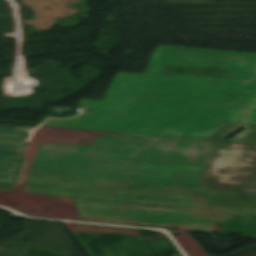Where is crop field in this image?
<instances>
[{
	"instance_id": "crop-field-2",
	"label": "crop field",
	"mask_w": 256,
	"mask_h": 256,
	"mask_svg": "<svg viewBox=\"0 0 256 256\" xmlns=\"http://www.w3.org/2000/svg\"><path fill=\"white\" fill-rule=\"evenodd\" d=\"M205 169L35 153L30 172L198 187Z\"/></svg>"
},
{
	"instance_id": "crop-field-5",
	"label": "crop field",
	"mask_w": 256,
	"mask_h": 256,
	"mask_svg": "<svg viewBox=\"0 0 256 256\" xmlns=\"http://www.w3.org/2000/svg\"><path fill=\"white\" fill-rule=\"evenodd\" d=\"M100 132L58 129L38 126L30 137V145H25L18 171L29 172L36 140L88 145Z\"/></svg>"
},
{
	"instance_id": "crop-field-8",
	"label": "crop field",
	"mask_w": 256,
	"mask_h": 256,
	"mask_svg": "<svg viewBox=\"0 0 256 256\" xmlns=\"http://www.w3.org/2000/svg\"><path fill=\"white\" fill-rule=\"evenodd\" d=\"M165 49H166V47H164V46H161V47L155 49L151 60L162 61V59L165 55Z\"/></svg>"
},
{
	"instance_id": "crop-field-3",
	"label": "crop field",
	"mask_w": 256,
	"mask_h": 256,
	"mask_svg": "<svg viewBox=\"0 0 256 256\" xmlns=\"http://www.w3.org/2000/svg\"><path fill=\"white\" fill-rule=\"evenodd\" d=\"M251 164H256V151L214 147L207 169L205 171L204 177L199 187L256 192V172L222 170L225 168H233V169L256 171V169L239 168L242 166L256 167V165H251ZM231 179L255 181V182L249 183V182L234 181ZM216 225H223V224H216ZM223 226H233V225H223ZM234 227H243V226H234ZM246 228H253V227H246ZM242 231L255 232L250 230H242Z\"/></svg>"
},
{
	"instance_id": "crop-field-6",
	"label": "crop field",
	"mask_w": 256,
	"mask_h": 256,
	"mask_svg": "<svg viewBox=\"0 0 256 256\" xmlns=\"http://www.w3.org/2000/svg\"><path fill=\"white\" fill-rule=\"evenodd\" d=\"M33 127L13 129L0 127V190L15 191L10 185L22 143Z\"/></svg>"
},
{
	"instance_id": "crop-field-7",
	"label": "crop field",
	"mask_w": 256,
	"mask_h": 256,
	"mask_svg": "<svg viewBox=\"0 0 256 256\" xmlns=\"http://www.w3.org/2000/svg\"><path fill=\"white\" fill-rule=\"evenodd\" d=\"M215 146H219V147H231V148H242V149H254V150H256V146L240 145V144H231V143H221V142H216Z\"/></svg>"
},
{
	"instance_id": "crop-field-1",
	"label": "crop field",
	"mask_w": 256,
	"mask_h": 256,
	"mask_svg": "<svg viewBox=\"0 0 256 256\" xmlns=\"http://www.w3.org/2000/svg\"><path fill=\"white\" fill-rule=\"evenodd\" d=\"M165 65L226 67L229 79L166 74ZM90 109L43 126L101 131L91 144L37 141L35 152L206 167L215 142L205 139L224 125L256 124V54L167 47L128 106Z\"/></svg>"
},
{
	"instance_id": "crop-field-4",
	"label": "crop field",
	"mask_w": 256,
	"mask_h": 256,
	"mask_svg": "<svg viewBox=\"0 0 256 256\" xmlns=\"http://www.w3.org/2000/svg\"><path fill=\"white\" fill-rule=\"evenodd\" d=\"M159 65H160V62L151 61L145 74H131V73L117 74L104 100L102 101L81 100L79 106L85 107L88 109L91 106H104V107H110V108H116V109H120L126 106L130 101V99L133 97V95L136 93L140 83L146 80L147 78L153 76V74L158 69ZM73 119L75 118L66 119L65 121H71ZM54 120H59V119H54Z\"/></svg>"
}]
</instances>
